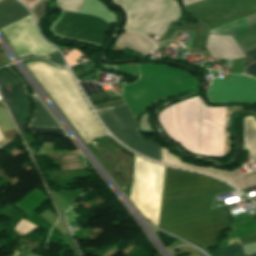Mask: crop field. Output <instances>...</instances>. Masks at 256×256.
I'll return each mask as SVG.
<instances>
[{
	"label": "crop field",
	"instance_id": "crop-field-1",
	"mask_svg": "<svg viewBox=\"0 0 256 256\" xmlns=\"http://www.w3.org/2000/svg\"><path fill=\"white\" fill-rule=\"evenodd\" d=\"M234 189L195 173L166 167L159 223L225 209H210L215 194ZM227 224L226 210L159 224L204 248L216 244Z\"/></svg>",
	"mask_w": 256,
	"mask_h": 256
},
{
	"label": "crop field",
	"instance_id": "crop-field-2",
	"mask_svg": "<svg viewBox=\"0 0 256 256\" xmlns=\"http://www.w3.org/2000/svg\"><path fill=\"white\" fill-rule=\"evenodd\" d=\"M185 8L211 29L255 14L256 0H203ZM254 24L256 15L211 30L210 33L228 34ZM228 35L233 36L243 52L256 48V25Z\"/></svg>",
	"mask_w": 256,
	"mask_h": 256
},
{
	"label": "crop field",
	"instance_id": "crop-field-3",
	"mask_svg": "<svg viewBox=\"0 0 256 256\" xmlns=\"http://www.w3.org/2000/svg\"><path fill=\"white\" fill-rule=\"evenodd\" d=\"M201 100H184L163 110L159 123L164 131L188 151L198 154Z\"/></svg>",
	"mask_w": 256,
	"mask_h": 256
},
{
	"label": "crop field",
	"instance_id": "crop-field-4",
	"mask_svg": "<svg viewBox=\"0 0 256 256\" xmlns=\"http://www.w3.org/2000/svg\"><path fill=\"white\" fill-rule=\"evenodd\" d=\"M106 128L127 147L161 161L159 144L142 138L125 104L96 110Z\"/></svg>",
	"mask_w": 256,
	"mask_h": 256
},
{
	"label": "crop field",
	"instance_id": "crop-field-5",
	"mask_svg": "<svg viewBox=\"0 0 256 256\" xmlns=\"http://www.w3.org/2000/svg\"><path fill=\"white\" fill-rule=\"evenodd\" d=\"M109 25L93 16L63 12L53 31L59 36L102 45Z\"/></svg>",
	"mask_w": 256,
	"mask_h": 256
},
{
	"label": "crop field",
	"instance_id": "crop-field-6",
	"mask_svg": "<svg viewBox=\"0 0 256 256\" xmlns=\"http://www.w3.org/2000/svg\"><path fill=\"white\" fill-rule=\"evenodd\" d=\"M1 32L8 40L19 58L44 56L56 51L39 36L31 16H27L3 29Z\"/></svg>",
	"mask_w": 256,
	"mask_h": 256
},
{
	"label": "crop field",
	"instance_id": "crop-field-7",
	"mask_svg": "<svg viewBox=\"0 0 256 256\" xmlns=\"http://www.w3.org/2000/svg\"><path fill=\"white\" fill-rule=\"evenodd\" d=\"M212 103H256V80L242 75H231L228 81L212 78L208 93Z\"/></svg>",
	"mask_w": 256,
	"mask_h": 256
},
{
	"label": "crop field",
	"instance_id": "crop-field-8",
	"mask_svg": "<svg viewBox=\"0 0 256 256\" xmlns=\"http://www.w3.org/2000/svg\"><path fill=\"white\" fill-rule=\"evenodd\" d=\"M225 108L202 103L199 155L222 156Z\"/></svg>",
	"mask_w": 256,
	"mask_h": 256
},
{
	"label": "crop field",
	"instance_id": "crop-field-9",
	"mask_svg": "<svg viewBox=\"0 0 256 256\" xmlns=\"http://www.w3.org/2000/svg\"><path fill=\"white\" fill-rule=\"evenodd\" d=\"M5 86L17 87L22 85L13 75H11L6 70L0 71V89L20 128L22 121L28 111V104L23 98L25 89L24 87H18V88H15L16 91H12L8 93Z\"/></svg>",
	"mask_w": 256,
	"mask_h": 256
},
{
	"label": "crop field",
	"instance_id": "crop-field-10",
	"mask_svg": "<svg viewBox=\"0 0 256 256\" xmlns=\"http://www.w3.org/2000/svg\"><path fill=\"white\" fill-rule=\"evenodd\" d=\"M206 49L209 50L213 58L236 59L245 57L232 36L209 35Z\"/></svg>",
	"mask_w": 256,
	"mask_h": 256
},
{
	"label": "crop field",
	"instance_id": "crop-field-11",
	"mask_svg": "<svg viewBox=\"0 0 256 256\" xmlns=\"http://www.w3.org/2000/svg\"><path fill=\"white\" fill-rule=\"evenodd\" d=\"M174 32L194 33L190 48L205 47L208 28L199 21L193 25H171L161 41L170 40Z\"/></svg>",
	"mask_w": 256,
	"mask_h": 256
},
{
	"label": "crop field",
	"instance_id": "crop-field-12",
	"mask_svg": "<svg viewBox=\"0 0 256 256\" xmlns=\"http://www.w3.org/2000/svg\"><path fill=\"white\" fill-rule=\"evenodd\" d=\"M161 152H162L163 162H165V163H168V164H171L174 166H178V167H182V168L206 172V173L215 175L225 181H230L234 178H237V177L243 175L237 169L234 170L233 172H227V171H219V170H215V169H210V168H206V167L194 166V165H190V164H184V163L180 162L176 157H174L171 153L166 151L162 146H161Z\"/></svg>",
	"mask_w": 256,
	"mask_h": 256
},
{
	"label": "crop field",
	"instance_id": "crop-field-13",
	"mask_svg": "<svg viewBox=\"0 0 256 256\" xmlns=\"http://www.w3.org/2000/svg\"><path fill=\"white\" fill-rule=\"evenodd\" d=\"M116 45L132 48L146 55L153 51L155 47V45L149 42L143 35L134 31H123Z\"/></svg>",
	"mask_w": 256,
	"mask_h": 256
},
{
	"label": "crop field",
	"instance_id": "crop-field-14",
	"mask_svg": "<svg viewBox=\"0 0 256 256\" xmlns=\"http://www.w3.org/2000/svg\"><path fill=\"white\" fill-rule=\"evenodd\" d=\"M29 15L28 11L16 0L0 2V29Z\"/></svg>",
	"mask_w": 256,
	"mask_h": 256
},
{
	"label": "crop field",
	"instance_id": "crop-field-15",
	"mask_svg": "<svg viewBox=\"0 0 256 256\" xmlns=\"http://www.w3.org/2000/svg\"><path fill=\"white\" fill-rule=\"evenodd\" d=\"M33 100V115L27 127L60 129L41 105L37 97H33Z\"/></svg>",
	"mask_w": 256,
	"mask_h": 256
},
{
	"label": "crop field",
	"instance_id": "crop-field-16",
	"mask_svg": "<svg viewBox=\"0 0 256 256\" xmlns=\"http://www.w3.org/2000/svg\"><path fill=\"white\" fill-rule=\"evenodd\" d=\"M48 199L49 197L35 189L14 204L28 215Z\"/></svg>",
	"mask_w": 256,
	"mask_h": 256
},
{
	"label": "crop field",
	"instance_id": "crop-field-17",
	"mask_svg": "<svg viewBox=\"0 0 256 256\" xmlns=\"http://www.w3.org/2000/svg\"><path fill=\"white\" fill-rule=\"evenodd\" d=\"M256 135V122L250 117H244V141ZM250 154L256 158V136L244 142Z\"/></svg>",
	"mask_w": 256,
	"mask_h": 256
},
{
	"label": "crop field",
	"instance_id": "crop-field-18",
	"mask_svg": "<svg viewBox=\"0 0 256 256\" xmlns=\"http://www.w3.org/2000/svg\"><path fill=\"white\" fill-rule=\"evenodd\" d=\"M88 98L90 99L94 109L124 103L121 96L110 98L107 92L89 95Z\"/></svg>",
	"mask_w": 256,
	"mask_h": 256
},
{
	"label": "crop field",
	"instance_id": "crop-field-19",
	"mask_svg": "<svg viewBox=\"0 0 256 256\" xmlns=\"http://www.w3.org/2000/svg\"><path fill=\"white\" fill-rule=\"evenodd\" d=\"M256 234V221L253 219L235 229H233L231 232L227 233L226 239L220 241L219 244H223L226 241H229L231 239H236L243 236L253 235Z\"/></svg>",
	"mask_w": 256,
	"mask_h": 256
},
{
	"label": "crop field",
	"instance_id": "crop-field-20",
	"mask_svg": "<svg viewBox=\"0 0 256 256\" xmlns=\"http://www.w3.org/2000/svg\"><path fill=\"white\" fill-rule=\"evenodd\" d=\"M2 108H5V106L0 103V109H2ZM5 110H6V108H5ZM5 110L2 109V110H0V111H1V113H2V115H3V117H4V120H5L6 124L9 125V124L12 123V121H11V119H10V121H11V123H10V121H9V119H8V117H7V114H8V113L6 114L7 110H6V112H5ZM1 113H0V125H1V127H2V129H3V131L6 132V131H12V130H14V129H15V128L13 129L14 126L12 127L13 123H12V125L6 126V124H5V122H4L3 118H2ZM8 116H9V115H8ZM9 118H10V117H9ZM1 127H0V129H1ZM2 129H1V131H2ZM3 131H2V133H3ZM16 133H17L16 130H15V131H12V132L3 133V135H4V137H5L6 141H7V143H10L11 141L14 140V138H15V136H16Z\"/></svg>",
	"mask_w": 256,
	"mask_h": 256
},
{
	"label": "crop field",
	"instance_id": "crop-field-21",
	"mask_svg": "<svg viewBox=\"0 0 256 256\" xmlns=\"http://www.w3.org/2000/svg\"><path fill=\"white\" fill-rule=\"evenodd\" d=\"M214 256H246L240 244L216 249ZM256 256V254L250 255Z\"/></svg>",
	"mask_w": 256,
	"mask_h": 256
},
{
	"label": "crop field",
	"instance_id": "crop-field-22",
	"mask_svg": "<svg viewBox=\"0 0 256 256\" xmlns=\"http://www.w3.org/2000/svg\"><path fill=\"white\" fill-rule=\"evenodd\" d=\"M71 70L76 75L77 79H81L97 71L91 61L74 66Z\"/></svg>",
	"mask_w": 256,
	"mask_h": 256
},
{
	"label": "crop field",
	"instance_id": "crop-field-23",
	"mask_svg": "<svg viewBox=\"0 0 256 256\" xmlns=\"http://www.w3.org/2000/svg\"><path fill=\"white\" fill-rule=\"evenodd\" d=\"M231 184L243 189L256 185V173L247 175L231 182Z\"/></svg>",
	"mask_w": 256,
	"mask_h": 256
},
{
	"label": "crop field",
	"instance_id": "crop-field-24",
	"mask_svg": "<svg viewBox=\"0 0 256 256\" xmlns=\"http://www.w3.org/2000/svg\"><path fill=\"white\" fill-rule=\"evenodd\" d=\"M30 133L37 134V133H53L59 135H65L62 130H53V129H35V128H27Z\"/></svg>",
	"mask_w": 256,
	"mask_h": 256
},
{
	"label": "crop field",
	"instance_id": "crop-field-25",
	"mask_svg": "<svg viewBox=\"0 0 256 256\" xmlns=\"http://www.w3.org/2000/svg\"><path fill=\"white\" fill-rule=\"evenodd\" d=\"M45 58L59 64V65H62V66H65V63L61 57V55L58 53V51L54 52V53H51L49 55H46L44 56Z\"/></svg>",
	"mask_w": 256,
	"mask_h": 256
},
{
	"label": "crop field",
	"instance_id": "crop-field-26",
	"mask_svg": "<svg viewBox=\"0 0 256 256\" xmlns=\"http://www.w3.org/2000/svg\"><path fill=\"white\" fill-rule=\"evenodd\" d=\"M245 55L248 57V59L251 61V63L256 61V49L245 52Z\"/></svg>",
	"mask_w": 256,
	"mask_h": 256
},
{
	"label": "crop field",
	"instance_id": "crop-field-27",
	"mask_svg": "<svg viewBox=\"0 0 256 256\" xmlns=\"http://www.w3.org/2000/svg\"><path fill=\"white\" fill-rule=\"evenodd\" d=\"M241 244H248L256 241V235L239 239Z\"/></svg>",
	"mask_w": 256,
	"mask_h": 256
},
{
	"label": "crop field",
	"instance_id": "crop-field-28",
	"mask_svg": "<svg viewBox=\"0 0 256 256\" xmlns=\"http://www.w3.org/2000/svg\"><path fill=\"white\" fill-rule=\"evenodd\" d=\"M245 72L252 75V76H255L256 75V63L247 66Z\"/></svg>",
	"mask_w": 256,
	"mask_h": 256
},
{
	"label": "crop field",
	"instance_id": "crop-field-29",
	"mask_svg": "<svg viewBox=\"0 0 256 256\" xmlns=\"http://www.w3.org/2000/svg\"><path fill=\"white\" fill-rule=\"evenodd\" d=\"M197 1H200V0H183V4H184V6H186V5L195 3Z\"/></svg>",
	"mask_w": 256,
	"mask_h": 256
},
{
	"label": "crop field",
	"instance_id": "crop-field-30",
	"mask_svg": "<svg viewBox=\"0 0 256 256\" xmlns=\"http://www.w3.org/2000/svg\"><path fill=\"white\" fill-rule=\"evenodd\" d=\"M6 61H7L6 58L0 52V63L6 62Z\"/></svg>",
	"mask_w": 256,
	"mask_h": 256
},
{
	"label": "crop field",
	"instance_id": "crop-field-31",
	"mask_svg": "<svg viewBox=\"0 0 256 256\" xmlns=\"http://www.w3.org/2000/svg\"><path fill=\"white\" fill-rule=\"evenodd\" d=\"M5 144V142H4V140H3V138H2V136H1V134H0V147L2 146V145H4Z\"/></svg>",
	"mask_w": 256,
	"mask_h": 256
},
{
	"label": "crop field",
	"instance_id": "crop-field-32",
	"mask_svg": "<svg viewBox=\"0 0 256 256\" xmlns=\"http://www.w3.org/2000/svg\"><path fill=\"white\" fill-rule=\"evenodd\" d=\"M254 78H256V77H254Z\"/></svg>",
	"mask_w": 256,
	"mask_h": 256
}]
</instances>
